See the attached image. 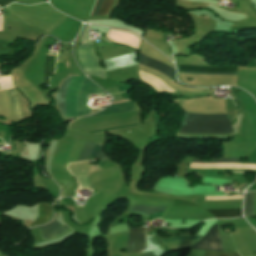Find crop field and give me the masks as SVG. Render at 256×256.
<instances>
[{
    "label": "crop field",
    "mask_w": 256,
    "mask_h": 256,
    "mask_svg": "<svg viewBox=\"0 0 256 256\" xmlns=\"http://www.w3.org/2000/svg\"><path fill=\"white\" fill-rule=\"evenodd\" d=\"M195 250L223 251L220 236L215 223L205 236L190 247ZM205 256H239L237 252H211L206 251Z\"/></svg>",
    "instance_id": "6"
},
{
    "label": "crop field",
    "mask_w": 256,
    "mask_h": 256,
    "mask_svg": "<svg viewBox=\"0 0 256 256\" xmlns=\"http://www.w3.org/2000/svg\"><path fill=\"white\" fill-rule=\"evenodd\" d=\"M0 32H2V31H0Z\"/></svg>",
    "instance_id": "24"
},
{
    "label": "crop field",
    "mask_w": 256,
    "mask_h": 256,
    "mask_svg": "<svg viewBox=\"0 0 256 256\" xmlns=\"http://www.w3.org/2000/svg\"><path fill=\"white\" fill-rule=\"evenodd\" d=\"M189 122L197 123H226L229 122L226 114L224 115H197L185 113L184 119ZM183 121L178 132L188 133H233L230 123L226 124H196Z\"/></svg>",
    "instance_id": "3"
},
{
    "label": "crop field",
    "mask_w": 256,
    "mask_h": 256,
    "mask_svg": "<svg viewBox=\"0 0 256 256\" xmlns=\"http://www.w3.org/2000/svg\"><path fill=\"white\" fill-rule=\"evenodd\" d=\"M202 236H190V237H181V238H169V239H160L162 243L168 242H179V241H187V240H195L200 239Z\"/></svg>",
    "instance_id": "19"
},
{
    "label": "crop field",
    "mask_w": 256,
    "mask_h": 256,
    "mask_svg": "<svg viewBox=\"0 0 256 256\" xmlns=\"http://www.w3.org/2000/svg\"><path fill=\"white\" fill-rule=\"evenodd\" d=\"M138 65L148 67L151 69H155L168 77H173L175 69L157 61L152 58L145 56L144 54L139 52V61Z\"/></svg>",
    "instance_id": "9"
},
{
    "label": "crop field",
    "mask_w": 256,
    "mask_h": 256,
    "mask_svg": "<svg viewBox=\"0 0 256 256\" xmlns=\"http://www.w3.org/2000/svg\"><path fill=\"white\" fill-rule=\"evenodd\" d=\"M100 2H101V0H97V1H96V4H95V6H94V9H93V12H92V15H91V16L97 14V11H98ZM112 4H113V0H102L97 15H107L108 12H109V10H110V8H111V6H112Z\"/></svg>",
    "instance_id": "14"
},
{
    "label": "crop field",
    "mask_w": 256,
    "mask_h": 256,
    "mask_svg": "<svg viewBox=\"0 0 256 256\" xmlns=\"http://www.w3.org/2000/svg\"><path fill=\"white\" fill-rule=\"evenodd\" d=\"M237 69L238 67H229V66L180 65L179 71L202 72V73H237ZM190 72H179V73L199 74V75H230V74H202V73H190Z\"/></svg>",
    "instance_id": "7"
},
{
    "label": "crop field",
    "mask_w": 256,
    "mask_h": 256,
    "mask_svg": "<svg viewBox=\"0 0 256 256\" xmlns=\"http://www.w3.org/2000/svg\"><path fill=\"white\" fill-rule=\"evenodd\" d=\"M9 75H11V73H10V74H8L7 76H1V77H8ZM1 77H0V78H1Z\"/></svg>",
    "instance_id": "21"
},
{
    "label": "crop field",
    "mask_w": 256,
    "mask_h": 256,
    "mask_svg": "<svg viewBox=\"0 0 256 256\" xmlns=\"http://www.w3.org/2000/svg\"><path fill=\"white\" fill-rule=\"evenodd\" d=\"M192 162H203V161H200V160H196L194 159ZM212 162H223V163H241L239 161V159H230V158H220V159H215L213 160ZM233 172H239V171H233ZM191 172H186V174H189ZM239 173H244V172H239ZM233 174H238V173H233Z\"/></svg>",
    "instance_id": "18"
},
{
    "label": "crop field",
    "mask_w": 256,
    "mask_h": 256,
    "mask_svg": "<svg viewBox=\"0 0 256 256\" xmlns=\"http://www.w3.org/2000/svg\"><path fill=\"white\" fill-rule=\"evenodd\" d=\"M9 91H10L11 101H12V105H13L14 116L15 117H21L20 108H19V105H18L15 90L14 89H9Z\"/></svg>",
    "instance_id": "17"
},
{
    "label": "crop field",
    "mask_w": 256,
    "mask_h": 256,
    "mask_svg": "<svg viewBox=\"0 0 256 256\" xmlns=\"http://www.w3.org/2000/svg\"><path fill=\"white\" fill-rule=\"evenodd\" d=\"M70 77L66 78L59 91L56 94L58 107L65 117V92L67 90ZM84 76H72L68 90L66 92V117L77 116V98L78 92L81 87V83ZM104 92L96 84L90 81L86 76L84 77L81 91L78 98V116L90 113L91 110L87 106L88 94L102 93Z\"/></svg>",
    "instance_id": "1"
},
{
    "label": "crop field",
    "mask_w": 256,
    "mask_h": 256,
    "mask_svg": "<svg viewBox=\"0 0 256 256\" xmlns=\"http://www.w3.org/2000/svg\"><path fill=\"white\" fill-rule=\"evenodd\" d=\"M167 207L161 206H142V205H133L130 211L141 212L147 216L163 212Z\"/></svg>",
    "instance_id": "13"
},
{
    "label": "crop field",
    "mask_w": 256,
    "mask_h": 256,
    "mask_svg": "<svg viewBox=\"0 0 256 256\" xmlns=\"http://www.w3.org/2000/svg\"><path fill=\"white\" fill-rule=\"evenodd\" d=\"M129 33V32H128ZM135 36V35H134ZM137 37V36H136ZM110 40V39H109ZM142 40V39H141ZM113 42V41H112ZM141 42V41H140ZM115 43V42H114ZM138 49H139V47H138Z\"/></svg>",
    "instance_id": "22"
},
{
    "label": "crop field",
    "mask_w": 256,
    "mask_h": 256,
    "mask_svg": "<svg viewBox=\"0 0 256 256\" xmlns=\"http://www.w3.org/2000/svg\"><path fill=\"white\" fill-rule=\"evenodd\" d=\"M215 216V218H235L242 215L241 209L228 210H207Z\"/></svg>",
    "instance_id": "12"
},
{
    "label": "crop field",
    "mask_w": 256,
    "mask_h": 256,
    "mask_svg": "<svg viewBox=\"0 0 256 256\" xmlns=\"http://www.w3.org/2000/svg\"><path fill=\"white\" fill-rule=\"evenodd\" d=\"M51 218V206L48 203H39V216L36 219V221L30 225L34 226L37 224L44 223Z\"/></svg>",
    "instance_id": "11"
},
{
    "label": "crop field",
    "mask_w": 256,
    "mask_h": 256,
    "mask_svg": "<svg viewBox=\"0 0 256 256\" xmlns=\"http://www.w3.org/2000/svg\"><path fill=\"white\" fill-rule=\"evenodd\" d=\"M13 1H15V0H0V5L5 6L9 3H12Z\"/></svg>",
    "instance_id": "20"
},
{
    "label": "crop field",
    "mask_w": 256,
    "mask_h": 256,
    "mask_svg": "<svg viewBox=\"0 0 256 256\" xmlns=\"http://www.w3.org/2000/svg\"><path fill=\"white\" fill-rule=\"evenodd\" d=\"M76 206H84V205H76Z\"/></svg>",
    "instance_id": "23"
},
{
    "label": "crop field",
    "mask_w": 256,
    "mask_h": 256,
    "mask_svg": "<svg viewBox=\"0 0 256 256\" xmlns=\"http://www.w3.org/2000/svg\"><path fill=\"white\" fill-rule=\"evenodd\" d=\"M94 145L95 144L93 143L85 141L76 161L87 160ZM102 148V145L96 144L88 160L91 161L97 157H100V164L110 162V160L103 154ZM51 176L59 183L64 196H75V190H77L78 187L71 174H60Z\"/></svg>",
    "instance_id": "4"
},
{
    "label": "crop field",
    "mask_w": 256,
    "mask_h": 256,
    "mask_svg": "<svg viewBox=\"0 0 256 256\" xmlns=\"http://www.w3.org/2000/svg\"><path fill=\"white\" fill-rule=\"evenodd\" d=\"M133 110H139L137 104L133 101H128V102L111 105L105 110L89 117H99V116H105L113 113L133 111Z\"/></svg>",
    "instance_id": "10"
},
{
    "label": "crop field",
    "mask_w": 256,
    "mask_h": 256,
    "mask_svg": "<svg viewBox=\"0 0 256 256\" xmlns=\"http://www.w3.org/2000/svg\"><path fill=\"white\" fill-rule=\"evenodd\" d=\"M88 37V27L85 25L81 35L82 44L77 48L79 59L86 73L104 77L105 71L103 68L98 67L99 61L93 51V46ZM136 57L137 52L105 60V69L108 71L111 69L134 65L136 64Z\"/></svg>",
    "instance_id": "2"
},
{
    "label": "crop field",
    "mask_w": 256,
    "mask_h": 256,
    "mask_svg": "<svg viewBox=\"0 0 256 256\" xmlns=\"http://www.w3.org/2000/svg\"><path fill=\"white\" fill-rule=\"evenodd\" d=\"M51 54V53H47ZM56 55H47L45 62V77L44 82H48V74L54 72Z\"/></svg>",
    "instance_id": "16"
},
{
    "label": "crop field",
    "mask_w": 256,
    "mask_h": 256,
    "mask_svg": "<svg viewBox=\"0 0 256 256\" xmlns=\"http://www.w3.org/2000/svg\"><path fill=\"white\" fill-rule=\"evenodd\" d=\"M253 205H254V192H246L245 205H244V216H253Z\"/></svg>",
    "instance_id": "15"
},
{
    "label": "crop field",
    "mask_w": 256,
    "mask_h": 256,
    "mask_svg": "<svg viewBox=\"0 0 256 256\" xmlns=\"http://www.w3.org/2000/svg\"><path fill=\"white\" fill-rule=\"evenodd\" d=\"M145 229L146 228L143 227L130 228L127 245L128 253L140 252L144 238L143 231ZM161 249L159 248L156 241L152 238V236H146L145 249L142 253V256H162L166 252Z\"/></svg>",
    "instance_id": "5"
},
{
    "label": "crop field",
    "mask_w": 256,
    "mask_h": 256,
    "mask_svg": "<svg viewBox=\"0 0 256 256\" xmlns=\"http://www.w3.org/2000/svg\"><path fill=\"white\" fill-rule=\"evenodd\" d=\"M72 229H70L67 226L61 225L59 222L56 220L51 222L50 224L41 227L40 228V233L41 236L45 241L62 236L68 232H70Z\"/></svg>",
    "instance_id": "8"
},
{
    "label": "crop field",
    "mask_w": 256,
    "mask_h": 256,
    "mask_svg": "<svg viewBox=\"0 0 256 256\" xmlns=\"http://www.w3.org/2000/svg\"><path fill=\"white\" fill-rule=\"evenodd\" d=\"M256 63V62H255Z\"/></svg>",
    "instance_id": "25"
}]
</instances>
